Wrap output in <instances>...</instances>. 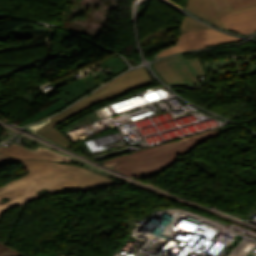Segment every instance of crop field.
Returning <instances> with one entry per match:
<instances>
[{"label": "crop field", "instance_id": "1", "mask_svg": "<svg viewBox=\"0 0 256 256\" xmlns=\"http://www.w3.org/2000/svg\"><path fill=\"white\" fill-rule=\"evenodd\" d=\"M10 144V143H8ZM0 148V167L15 160L29 173L0 186V218L4 212L32 200L47 196L37 195V191L47 189L50 195L72 191H91L111 185L117 181L89 172L68 162L70 159L47 149L32 152L10 144ZM36 179V181H34Z\"/></svg>", "mask_w": 256, "mask_h": 256}, {"label": "crop field", "instance_id": "2", "mask_svg": "<svg viewBox=\"0 0 256 256\" xmlns=\"http://www.w3.org/2000/svg\"><path fill=\"white\" fill-rule=\"evenodd\" d=\"M229 129L232 127L209 131L101 162L113 165L114 169L128 177L152 176L172 166L177 159L190 153L195 145Z\"/></svg>", "mask_w": 256, "mask_h": 256}, {"label": "crop field", "instance_id": "3", "mask_svg": "<svg viewBox=\"0 0 256 256\" xmlns=\"http://www.w3.org/2000/svg\"><path fill=\"white\" fill-rule=\"evenodd\" d=\"M154 84V81L145 69L138 68L114 79L101 89L95 91L62 113L50 118V122L41 127L35 133L53 141L54 143L68 148L72 143L61 135L55 127L60 122L112 97L139 87Z\"/></svg>", "mask_w": 256, "mask_h": 256}, {"label": "crop field", "instance_id": "4", "mask_svg": "<svg viewBox=\"0 0 256 256\" xmlns=\"http://www.w3.org/2000/svg\"><path fill=\"white\" fill-rule=\"evenodd\" d=\"M153 66L168 85L175 83L197 84L195 77L204 75L197 59L185 60L182 54L162 59Z\"/></svg>", "mask_w": 256, "mask_h": 256}, {"label": "crop field", "instance_id": "5", "mask_svg": "<svg viewBox=\"0 0 256 256\" xmlns=\"http://www.w3.org/2000/svg\"><path fill=\"white\" fill-rule=\"evenodd\" d=\"M241 40L242 39L224 35L213 29L196 33L181 34L177 45L159 53L158 58L177 52L213 47Z\"/></svg>", "mask_w": 256, "mask_h": 256}, {"label": "crop field", "instance_id": "6", "mask_svg": "<svg viewBox=\"0 0 256 256\" xmlns=\"http://www.w3.org/2000/svg\"><path fill=\"white\" fill-rule=\"evenodd\" d=\"M99 83L90 75L86 78H83L81 80H76L60 89H58V92L64 97L62 99H60L59 101H57L56 103L52 104L51 106L43 109L42 111H40L38 114H36L35 116L25 120L24 122L18 124V125H23L25 123L34 121V120H38L52 112H55L59 109H61L62 107L67 105V102L69 101L72 102L73 100L77 99L78 97H80L81 95H83L84 93H86L87 91L91 90L92 88H94L96 85H98Z\"/></svg>", "mask_w": 256, "mask_h": 256}, {"label": "crop field", "instance_id": "7", "mask_svg": "<svg viewBox=\"0 0 256 256\" xmlns=\"http://www.w3.org/2000/svg\"><path fill=\"white\" fill-rule=\"evenodd\" d=\"M187 8L190 11L206 18L207 20H209L219 26L224 27V24H223L220 16L256 8V3L247 5V6H244L241 8L231 9V10H227V11L218 13L211 0H188Z\"/></svg>", "mask_w": 256, "mask_h": 256}, {"label": "crop field", "instance_id": "8", "mask_svg": "<svg viewBox=\"0 0 256 256\" xmlns=\"http://www.w3.org/2000/svg\"><path fill=\"white\" fill-rule=\"evenodd\" d=\"M227 29L243 34L256 31V9L222 17Z\"/></svg>", "mask_w": 256, "mask_h": 256}, {"label": "crop field", "instance_id": "9", "mask_svg": "<svg viewBox=\"0 0 256 256\" xmlns=\"http://www.w3.org/2000/svg\"><path fill=\"white\" fill-rule=\"evenodd\" d=\"M210 29V27L186 16L181 33H189Z\"/></svg>", "mask_w": 256, "mask_h": 256}, {"label": "crop field", "instance_id": "10", "mask_svg": "<svg viewBox=\"0 0 256 256\" xmlns=\"http://www.w3.org/2000/svg\"><path fill=\"white\" fill-rule=\"evenodd\" d=\"M105 63L110 67V69L113 70V72L116 74L117 72L121 71L122 69H124V64L122 63V61L117 58L114 57L108 61H105Z\"/></svg>", "mask_w": 256, "mask_h": 256}, {"label": "crop field", "instance_id": "11", "mask_svg": "<svg viewBox=\"0 0 256 256\" xmlns=\"http://www.w3.org/2000/svg\"><path fill=\"white\" fill-rule=\"evenodd\" d=\"M212 1L215 4L218 12L232 8L229 0H212Z\"/></svg>", "mask_w": 256, "mask_h": 256}, {"label": "crop field", "instance_id": "12", "mask_svg": "<svg viewBox=\"0 0 256 256\" xmlns=\"http://www.w3.org/2000/svg\"><path fill=\"white\" fill-rule=\"evenodd\" d=\"M22 255L17 251L0 244V256H22Z\"/></svg>", "mask_w": 256, "mask_h": 256}, {"label": "crop field", "instance_id": "13", "mask_svg": "<svg viewBox=\"0 0 256 256\" xmlns=\"http://www.w3.org/2000/svg\"><path fill=\"white\" fill-rule=\"evenodd\" d=\"M230 1L234 8L241 7V6L256 2V0H230Z\"/></svg>", "mask_w": 256, "mask_h": 256}, {"label": "crop field", "instance_id": "14", "mask_svg": "<svg viewBox=\"0 0 256 256\" xmlns=\"http://www.w3.org/2000/svg\"><path fill=\"white\" fill-rule=\"evenodd\" d=\"M47 256H54V254H49V255H47Z\"/></svg>", "mask_w": 256, "mask_h": 256}]
</instances>
